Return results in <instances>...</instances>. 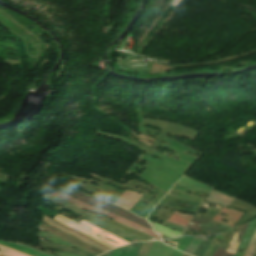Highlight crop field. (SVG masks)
<instances>
[{
    "mask_svg": "<svg viewBox=\"0 0 256 256\" xmlns=\"http://www.w3.org/2000/svg\"><path fill=\"white\" fill-rule=\"evenodd\" d=\"M52 194H53V195H56V196H59V197H62V198H64V199H66V200H68V201H70V202H72V203H74V204H76V205L82 207V208L87 209V210H90V211H93V212H98V213H101V214L110 216V217L113 218V220H115V221H117V222H120V223H122V224H125V225H127V226H130V227H132V228H135V229H137V230H140V231H142V232H144V233H147V234H149V235H151V236H154V237L160 239V237H159L158 235H156L153 231H151V230H149V229H147V228H145V227H143V226H141V225H139V224H136V223H134V222H132V221H130V220H128V219H125V218H123V217H120V216H117V215H115V214L109 213V212H107V211L101 210V209H99V208L93 207V206H91V205L82 203V202H80V201H78V200H76V199H74V198H72V197H70V196H68V195L63 196V195H61V194H59V193H52Z\"/></svg>",
    "mask_w": 256,
    "mask_h": 256,
    "instance_id": "crop-field-1",
    "label": "crop field"
},
{
    "mask_svg": "<svg viewBox=\"0 0 256 256\" xmlns=\"http://www.w3.org/2000/svg\"><path fill=\"white\" fill-rule=\"evenodd\" d=\"M41 221L59 229V230H61V231L65 232L69 235H72V236H74V237H76V238H78V239H80V240H82V241H84V242H86V243L104 251V252L111 249V248H109V247H107V246H105V245H103V244H101V243H99V242H97V241H95V240H93V239H91V238L73 230V229H70V228H68V227H66V226H64V225L46 217V216H44V215H43Z\"/></svg>",
    "mask_w": 256,
    "mask_h": 256,
    "instance_id": "crop-field-2",
    "label": "crop field"
},
{
    "mask_svg": "<svg viewBox=\"0 0 256 256\" xmlns=\"http://www.w3.org/2000/svg\"><path fill=\"white\" fill-rule=\"evenodd\" d=\"M53 219H55L56 221H58V222H60L62 224H65V225H67V226H69L71 228H74V229H76L78 231H81V232L91 236L92 238H94V239H96V240H98V241H100V242H102V243H104V244H106V245H108V246H110L112 248L121 246V245H119L117 243H114L112 241H109V240L103 238L98 233H96V232H94V231H92V230H90V229H88V228H86V227H84V226H82L80 224H77V223H75V222H73V221H71V220H69V219H67V218H65V217H63V216H61L59 214L57 216H55ZM98 236H100V237H98Z\"/></svg>",
    "mask_w": 256,
    "mask_h": 256,
    "instance_id": "crop-field-3",
    "label": "crop field"
},
{
    "mask_svg": "<svg viewBox=\"0 0 256 256\" xmlns=\"http://www.w3.org/2000/svg\"><path fill=\"white\" fill-rule=\"evenodd\" d=\"M220 212L225 213L226 215H228V217L220 215ZM242 214H243V212H239V211H235V210H231V209L222 207L220 209V211L216 214V216L213 218L212 221L224 223L226 225L233 227L234 223L239 220V218L242 216ZM222 219L227 220V223L223 222Z\"/></svg>",
    "mask_w": 256,
    "mask_h": 256,
    "instance_id": "crop-field-4",
    "label": "crop field"
},
{
    "mask_svg": "<svg viewBox=\"0 0 256 256\" xmlns=\"http://www.w3.org/2000/svg\"><path fill=\"white\" fill-rule=\"evenodd\" d=\"M142 197V195L126 190L123 195L119 198V200L116 202V205H119L121 207H124L126 209L132 208L135 203Z\"/></svg>",
    "mask_w": 256,
    "mask_h": 256,
    "instance_id": "crop-field-5",
    "label": "crop field"
},
{
    "mask_svg": "<svg viewBox=\"0 0 256 256\" xmlns=\"http://www.w3.org/2000/svg\"><path fill=\"white\" fill-rule=\"evenodd\" d=\"M135 244H139V246L134 247V244H129L125 247L110 251L107 256H136L142 243Z\"/></svg>",
    "mask_w": 256,
    "mask_h": 256,
    "instance_id": "crop-field-6",
    "label": "crop field"
},
{
    "mask_svg": "<svg viewBox=\"0 0 256 256\" xmlns=\"http://www.w3.org/2000/svg\"><path fill=\"white\" fill-rule=\"evenodd\" d=\"M83 220L88 222V223H91V224H93L95 226H98V227H100V228H102V229H104V230H106V231H108V232H110V233H112V234H114V235H116V236L126 240V241H129V242L141 241L140 239H138L136 237H133V236L125 234L123 232L117 231V230L112 229L110 227L104 226V225L99 224V223H97L95 221H92V220H89V219H86V218H84Z\"/></svg>",
    "mask_w": 256,
    "mask_h": 256,
    "instance_id": "crop-field-7",
    "label": "crop field"
},
{
    "mask_svg": "<svg viewBox=\"0 0 256 256\" xmlns=\"http://www.w3.org/2000/svg\"><path fill=\"white\" fill-rule=\"evenodd\" d=\"M233 199L234 197L212 190L206 201H210L226 207Z\"/></svg>",
    "mask_w": 256,
    "mask_h": 256,
    "instance_id": "crop-field-8",
    "label": "crop field"
},
{
    "mask_svg": "<svg viewBox=\"0 0 256 256\" xmlns=\"http://www.w3.org/2000/svg\"><path fill=\"white\" fill-rule=\"evenodd\" d=\"M0 244H3V245H6V246H9V247H12L14 249H17V250H20V251H23L27 254H30L32 256H49V255H46V254H43V253H40L38 251H35L29 247H26V246H22L20 244H14V243H6V242H1L0 241Z\"/></svg>",
    "mask_w": 256,
    "mask_h": 256,
    "instance_id": "crop-field-9",
    "label": "crop field"
},
{
    "mask_svg": "<svg viewBox=\"0 0 256 256\" xmlns=\"http://www.w3.org/2000/svg\"><path fill=\"white\" fill-rule=\"evenodd\" d=\"M40 244L45 245V246H48V247H51V248H55V249H60V250L68 251V252H71V253H74V254H77V255H81V256H95V255H92V254L87 253V252L75 250V249L68 248V247L61 246V245L54 244V243H49V242H44V241H42Z\"/></svg>",
    "mask_w": 256,
    "mask_h": 256,
    "instance_id": "crop-field-10",
    "label": "crop field"
},
{
    "mask_svg": "<svg viewBox=\"0 0 256 256\" xmlns=\"http://www.w3.org/2000/svg\"><path fill=\"white\" fill-rule=\"evenodd\" d=\"M80 224L85 225L86 227H88V228L100 233L101 235H103V236H105V237H107L111 240H114V241H116V242H118L122 245L129 244L128 242H125V241L121 240L120 238H118V237H116V236H114V235H112V234H110L106 231L100 230V229H98V228H96V227H94V226H92V225H90V224H88L84 221H81Z\"/></svg>",
    "mask_w": 256,
    "mask_h": 256,
    "instance_id": "crop-field-11",
    "label": "crop field"
},
{
    "mask_svg": "<svg viewBox=\"0 0 256 256\" xmlns=\"http://www.w3.org/2000/svg\"><path fill=\"white\" fill-rule=\"evenodd\" d=\"M176 215H181L183 217L190 218V219L192 218V217L185 216L183 214H178L177 212H174L171 215V217L167 220V222H170V223L177 224V225L185 227L187 225V223L189 222V220L183 219V218L178 217Z\"/></svg>",
    "mask_w": 256,
    "mask_h": 256,
    "instance_id": "crop-field-12",
    "label": "crop field"
},
{
    "mask_svg": "<svg viewBox=\"0 0 256 256\" xmlns=\"http://www.w3.org/2000/svg\"><path fill=\"white\" fill-rule=\"evenodd\" d=\"M0 255H2V256H30L23 252H20V251H17V250H14L9 247L2 246V245H0Z\"/></svg>",
    "mask_w": 256,
    "mask_h": 256,
    "instance_id": "crop-field-13",
    "label": "crop field"
},
{
    "mask_svg": "<svg viewBox=\"0 0 256 256\" xmlns=\"http://www.w3.org/2000/svg\"><path fill=\"white\" fill-rule=\"evenodd\" d=\"M149 222H150V224L152 225V227L155 231L160 232V233H162L164 235H167L169 237L178 236L180 234V233H177L175 231L168 230V229H166V228H164V227H162V226H160V225H158L154 222H151V221H149Z\"/></svg>",
    "mask_w": 256,
    "mask_h": 256,
    "instance_id": "crop-field-14",
    "label": "crop field"
},
{
    "mask_svg": "<svg viewBox=\"0 0 256 256\" xmlns=\"http://www.w3.org/2000/svg\"><path fill=\"white\" fill-rule=\"evenodd\" d=\"M207 238V242L202 241V243L199 245V247L196 249L194 256H203L204 252L206 251L207 247L209 246L210 242L212 241V238Z\"/></svg>",
    "mask_w": 256,
    "mask_h": 256,
    "instance_id": "crop-field-15",
    "label": "crop field"
},
{
    "mask_svg": "<svg viewBox=\"0 0 256 256\" xmlns=\"http://www.w3.org/2000/svg\"><path fill=\"white\" fill-rule=\"evenodd\" d=\"M201 240L195 239L193 238L192 242L190 243V245L188 246V248L185 250L186 253H189L191 255H193L195 249L197 248V246L200 244Z\"/></svg>",
    "mask_w": 256,
    "mask_h": 256,
    "instance_id": "crop-field-16",
    "label": "crop field"
},
{
    "mask_svg": "<svg viewBox=\"0 0 256 256\" xmlns=\"http://www.w3.org/2000/svg\"><path fill=\"white\" fill-rule=\"evenodd\" d=\"M151 243L152 242H145L142 244V247L138 253V256H146L148 251H149V248L151 246Z\"/></svg>",
    "mask_w": 256,
    "mask_h": 256,
    "instance_id": "crop-field-17",
    "label": "crop field"
},
{
    "mask_svg": "<svg viewBox=\"0 0 256 256\" xmlns=\"http://www.w3.org/2000/svg\"><path fill=\"white\" fill-rule=\"evenodd\" d=\"M255 248H256V231H255V233H254V235L252 237V240H251V242H250L246 252L251 254V253L254 252Z\"/></svg>",
    "mask_w": 256,
    "mask_h": 256,
    "instance_id": "crop-field-18",
    "label": "crop field"
},
{
    "mask_svg": "<svg viewBox=\"0 0 256 256\" xmlns=\"http://www.w3.org/2000/svg\"><path fill=\"white\" fill-rule=\"evenodd\" d=\"M108 253V252H107ZM107 253H105V254H103V255H101V256H106L107 255Z\"/></svg>",
    "mask_w": 256,
    "mask_h": 256,
    "instance_id": "crop-field-19",
    "label": "crop field"
},
{
    "mask_svg": "<svg viewBox=\"0 0 256 256\" xmlns=\"http://www.w3.org/2000/svg\"><path fill=\"white\" fill-rule=\"evenodd\" d=\"M244 256H248V255L244 254Z\"/></svg>",
    "mask_w": 256,
    "mask_h": 256,
    "instance_id": "crop-field-20",
    "label": "crop field"
}]
</instances>
